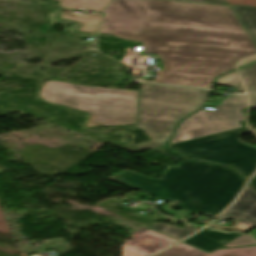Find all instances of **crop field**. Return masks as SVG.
<instances>
[{
	"mask_svg": "<svg viewBox=\"0 0 256 256\" xmlns=\"http://www.w3.org/2000/svg\"><path fill=\"white\" fill-rule=\"evenodd\" d=\"M138 91L78 85L50 80L41 100L90 113L86 127L136 124Z\"/></svg>",
	"mask_w": 256,
	"mask_h": 256,
	"instance_id": "crop-field-4",
	"label": "crop field"
},
{
	"mask_svg": "<svg viewBox=\"0 0 256 256\" xmlns=\"http://www.w3.org/2000/svg\"><path fill=\"white\" fill-rule=\"evenodd\" d=\"M163 210H165V211H167L168 213H170V214H172L173 216H175V217H179L180 215H178V214H176V213H174V212H172V211H170V210H168V209H166V208H164V207H161Z\"/></svg>",
	"mask_w": 256,
	"mask_h": 256,
	"instance_id": "crop-field-19",
	"label": "crop field"
},
{
	"mask_svg": "<svg viewBox=\"0 0 256 256\" xmlns=\"http://www.w3.org/2000/svg\"><path fill=\"white\" fill-rule=\"evenodd\" d=\"M245 107V95H235L224 100L215 111H198L180 123L170 145L241 127L239 122L244 120L241 110Z\"/></svg>",
	"mask_w": 256,
	"mask_h": 256,
	"instance_id": "crop-field-6",
	"label": "crop field"
},
{
	"mask_svg": "<svg viewBox=\"0 0 256 256\" xmlns=\"http://www.w3.org/2000/svg\"><path fill=\"white\" fill-rule=\"evenodd\" d=\"M245 132H249L247 127L170 147L190 158L232 166L241 176L248 179L256 170V148L239 141L238 136Z\"/></svg>",
	"mask_w": 256,
	"mask_h": 256,
	"instance_id": "crop-field-5",
	"label": "crop field"
},
{
	"mask_svg": "<svg viewBox=\"0 0 256 256\" xmlns=\"http://www.w3.org/2000/svg\"><path fill=\"white\" fill-rule=\"evenodd\" d=\"M150 229H153L155 231H158L160 233H163L165 235H168L170 237H173L175 239H182L193 232L197 231L199 228L192 227L187 225L185 228L176 227V226H170L163 223H155Z\"/></svg>",
	"mask_w": 256,
	"mask_h": 256,
	"instance_id": "crop-field-14",
	"label": "crop field"
},
{
	"mask_svg": "<svg viewBox=\"0 0 256 256\" xmlns=\"http://www.w3.org/2000/svg\"><path fill=\"white\" fill-rule=\"evenodd\" d=\"M99 33L141 41L164 73L144 82L212 88L216 76L256 53L229 6L163 0H114Z\"/></svg>",
	"mask_w": 256,
	"mask_h": 256,
	"instance_id": "crop-field-1",
	"label": "crop field"
},
{
	"mask_svg": "<svg viewBox=\"0 0 256 256\" xmlns=\"http://www.w3.org/2000/svg\"><path fill=\"white\" fill-rule=\"evenodd\" d=\"M155 256H256V246L235 249H219L209 254L181 243Z\"/></svg>",
	"mask_w": 256,
	"mask_h": 256,
	"instance_id": "crop-field-9",
	"label": "crop field"
},
{
	"mask_svg": "<svg viewBox=\"0 0 256 256\" xmlns=\"http://www.w3.org/2000/svg\"><path fill=\"white\" fill-rule=\"evenodd\" d=\"M256 45V7L230 6Z\"/></svg>",
	"mask_w": 256,
	"mask_h": 256,
	"instance_id": "crop-field-12",
	"label": "crop field"
},
{
	"mask_svg": "<svg viewBox=\"0 0 256 256\" xmlns=\"http://www.w3.org/2000/svg\"><path fill=\"white\" fill-rule=\"evenodd\" d=\"M175 242L177 241L148 229L123 245L122 256H145Z\"/></svg>",
	"mask_w": 256,
	"mask_h": 256,
	"instance_id": "crop-field-8",
	"label": "crop field"
},
{
	"mask_svg": "<svg viewBox=\"0 0 256 256\" xmlns=\"http://www.w3.org/2000/svg\"><path fill=\"white\" fill-rule=\"evenodd\" d=\"M250 183L256 189V176Z\"/></svg>",
	"mask_w": 256,
	"mask_h": 256,
	"instance_id": "crop-field-20",
	"label": "crop field"
},
{
	"mask_svg": "<svg viewBox=\"0 0 256 256\" xmlns=\"http://www.w3.org/2000/svg\"><path fill=\"white\" fill-rule=\"evenodd\" d=\"M218 219L226 221L231 219L235 222L230 228L213 224L209 226L239 233H245L256 226V192L249 184L244 189L238 201L218 217Z\"/></svg>",
	"mask_w": 256,
	"mask_h": 256,
	"instance_id": "crop-field-7",
	"label": "crop field"
},
{
	"mask_svg": "<svg viewBox=\"0 0 256 256\" xmlns=\"http://www.w3.org/2000/svg\"><path fill=\"white\" fill-rule=\"evenodd\" d=\"M251 98V107H256V63L239 70Z\"/></svg>",
	"mask_w": 256,
	"mask_h": 256,
	"instance_id": "crop-field-15",
	"label": "crop field"
},
{
	"mask_svg": "<svg viewBox=\"0 0 256 256\" xmlns=\"http://www.w3.org/2000/svg\"><path fill=\"white\" fill-rule=\"evenodd\" d=\"M59 6L67 9H75L77 7L88 8L91 10L104 11L112 0H54ZM76 10V9H75Z\"/></svg>",
	"mask_w": 256,
	"mask_h": 256,
	"instance_id": "crop-field-13",
	"label": "crop field"
},
{
	"mask_svg": "<svg viewBox=\"0 0 256 256\" xmlns=\"http://www.w3.org/2000/svg\"><path fill=\"white\" fill-rule=\"evenodd\" d=\"M239 235L241 234L218 233L203 229L201 232L187 239L184 242L194 245L206 252H210L223 246L224 244L228 243Z\"/></svg>",
	"mask_w": 256,
	"mask_h": 256,
	"instance_id": "crop-field-10",
	"label": "crop field"
},
{
	"mask_svg": "<svg viewBox=\"0 0 256 256\" xmlns=\"http://www.w3.org/2000/svg\"><path fill=\"white\" fill-rule=\"evenodd\" d=\"M254 244H256V241L252 239L250 236L241 235L236 239L232 240L231 242H229L228 244L224 245L223 247L248 246V245H254Z\"/></svg>",
	"mask_w": 256,
	"mask_h": 256,
	"instance_id": "crop-field-17",
	"label": "crop field"
},
{
	"mask_svg": "<svg viewBox=\"0 0 256 256\" xmlns=\"http://www.w3.org/2000/svg\"><path fill=\"white\" fill-rule=\"evenodd\" d=\"M215 84L233 86L236 89V91H233L234 93L244 92V89L236 72H232L226 76L217 79Z\"/></svg>",
	"mask_w": 256,
	"mask_h": 256,
	"instance_id": "crop-field-16",
	"label": "crop field"
},
{
	"mask_svg": "<svg viewBox=\"0 0 256 256\" xmlns=\"http://www.w3.org/2000/svg\"><path fill=\"white\" fill-rule=\"evenodd\" d=\"M181 160L177 168L168 167L160 180L125 170L108 180L147 192L154 197L179 203L185 211L214 217L224 210L240 192L243 181L224 166L187 159L166 146L152 149Z\"/></svg>",
	"mask_w": 256,
	"mask_h": 256,
	"instance_id": "crop-field-2",
	"label": "crop field"
},
{
	"mask_svg": "<svg viewBox=\"0 0 256 256\" xmlns=\"http://www.w3.org/2000/svg\"><path fill=\"white\" fill-rule=\"evenodd\" d=\"M210 90L140 83L137 128L151 141L136 145L137 151L164 146L177 122L200 108Z\"/></svg>",
	"mask_w": 256,
	"mask_h": 256,
	"instance_id": "crop-field-3",
	"label": "crop field"
},
{
	"mask_svg": "<svg viewBox=\"0 0 256 256\" xmlns=\"http://www.w3.org/2000/svg\"><path fill=\"white\" fill-rule=\"evenodd\" d=\"M60 19L78 22L80 23V26L77 31L96 35L102 20V14L94 13L92 15L85 16L71 13L70 10L62 9Z\"/></svg>",
	"mask_w": 256,
	"mask_h": 256,
	"instance_id": "crop-field-11",
	"label": "crop field"
},
{
	"mask_svg": "<svg viewBox=\"0 0 256 256\" xmlns=\"http://www.w3.org/2000/svg\"><path fill=\"white\" fill-rule=\"evenodd\" d=\"M255 60H256V57L251 58V59H248V60L242 62L241 64H239V67L242 66V65H245V64H247V63H250V62H252V61H255Z\"/></svg>",
	"mask_w": 256,
	"mask_h": 256,
	"instance_id": "crop-field-18",
	"label": "crop field"
}]
</instances>
